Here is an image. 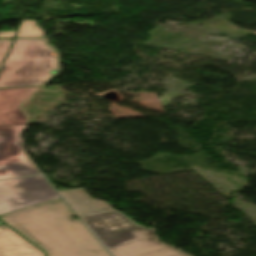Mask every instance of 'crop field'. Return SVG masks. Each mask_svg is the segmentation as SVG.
Masks as SVG:
<instances>
[{"label":"crop field","instance_id":"obj_1","mask_svg":"<svg viewBox=\"0 0 256 256\" xmlns=\"http://www.w3.org/2000/svg\"><path fill=\"white\" fill-rule=\"evenodd\" d=\"M61 198L0 216L46 256H110Z\"/></svg>","mask_w":256,"mask_h":256},{"label":"crop field","instance_id":"obj_2","mask_svg":"<svg viewBox=\"0 0 256 256\" xmlns=\"http://www.w3.org/2000/svg\"><path fill=\"white\" fill-rule=\"evenodd\" d=\"M55 55L42 39L16 40L0 72V89L42 86L58 73Z\"/></svg>","mask_w":256,"mask_h":256},{"label":"crop field","instance_id":"obj_3","mask_svg":"<svg viewBox=\"0 0 256 256\" xmlns=\"http://www.w3.org/2000/svg\"><path fill=\"white\" fill-rule=\"evenodd\" d=\"M59 198L42 176L0 182V215Z\"/></svg>","mask_w":256,"mask_h":256},{"label":"crop field","instance_id":"obj_4","mask_svg":"<svg viewBox=\"0 0 256 256\" xmlns=\"http://www.w3.org/2000/svg\"><path fill=\"white\" fill-rule=\"evenodd\" d=\"M84 217L85 224L107 247L153 235V231L132 224L114 210Z\"/></svg>","mask_w":256,"mask_h":256},{"label":"crop field","instance_id":"obj_5","mask_svg":"<svg viewBox=\"0 0 256 256\" xmlns=\"http://www.w3.org/2000/svg\"><path fill=\"white\" fill-rule=\"evenodd\" d=\"M24 127H0V180L39 173L21 149L19 135Z\"/></svg>","mask_w":256,"mask_h":256},{"label":"crop field","instance_id":"obj_6","mask_svg":"<svg viewBox=\"0 0 256 256\" xmlns=\"http://www.w3.org/2000/svg\"><path fill=\"white\" fill-rule=\"evenodd\" d=\"M38 88L0 90V126L25 124L26 119L19 107Z\"/></svg>","mask_w":256,"mask_h":256},{"label":"crop field","instance_id":"obj_7","mask_svg":"<svg viewBox=\"0 0 256 256\" xmlns=\"http://www.w3.org/2000/svg\"><path fill=\"white\" fill-rule=\"evenodd\" d=\"M115 256H188L152 237L109 248Z\"/></svg>","mask_w":256,"mask_h":256},{"label":"crop field","instance_id":"obj_8","mask_svg":"<svg viewBox=\"0 0 256 256\" xmlns=\"http://www.w3.org/2000/svg\"><path fill=\"white\" fill-rule=\"evenodd\" d=\"M0 256H44L5 225L0 226Z\"/></svg>","mask_w":256,"mask_h":256},{"label":"crop field","instance_id":"obj_9","mask_svg":"<svg viewBox=\"0 0 256 256\" xmlns=\"http://www.w3.org/2000/svg\"><path fill=\"white\" fill-rule=\"evenodd\" d=\"M59 193L79 216L110 210L106 203L90 200L81 188L60 191Z\"/></svg>","mask_w":256,"mask_h":256},{"label":"crop field","instance_id":"obj_10","mask_svg":"<svg viewBox=\"0 0 256 256\" xmlns=\"http://www.w3.org/2000/svg\"><path fill=\"white\" fill-rule=\"evenodd\" d=\"M45 37L32 20H23L17 38Z\"/></svg>","mask_w":256,"mask_h":256},{"label":"crop field","instance_id":"obj_11","mask_svg":"<svg viewBox=\"0 0 256 256\" xmlns=\"http://www.w3.org/2000/svg\"><path fill=\"white\" fill-rule=\"evenodd\" d=\"M13 40H0V65L5 58Z\"/></svg>","mask_w":256,"mask_h":256},{"label":"crop field","instance_id":"obj_12","mask_svg":"<svg viewBox=\"0 0 256 256\" xmlns=\"http://www.w3.org/2000/svg\"><path fill=\"white\" fill-rule=\"evenodd\" d=\"M15 32H0V38H10L13 37Z\"/></svg>","mask_w":256,"mask_h":256},{"label":"crop field","instance_id":"obj_13","mask_svg":"<svg viewBox=\"0 0 256 256\" xmlns=\"http://www.w3.org/2000/svg\"><path fill=\"white\" fill-rule=\"evenodd\" d=\"M3 223L0 222V225H2Z\"/></svg>","mask_w":256,"mask_h":256}]
</instances>
